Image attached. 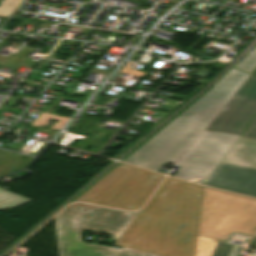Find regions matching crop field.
<instances>
[{
	"label": "crop field",
	"mask_w": 256,
	"mask_h": 256,
	"mask_svg": "<svg viewBox=\"0 0 256 256\" xmlns=\"http://www.w3.org/2000/svg\"><path fill=\"white\" fill-rule=\"evenodd\" d=\"M202 187L167 178L116 246L156 256H194Z\"/></svg>",
	"instance_id": "1"
},
{
	"label": "crop field",
	"mask_w": 256,
	"mask_h": 256,
	"mask_svg": "<svg viewBox=\"0 0 256 256\" xmlns=\"http://www.w3.org/2000/svg\"><path fill=\"white\" fill-rule=\"evenodd\" d=\"M246 77L247 74L232 68L124 162L155 171L165 162L177 164Z\"/></svg>",
	"instance_id": "2"
},
{
	"label": "crop field",
	"mask_w": 256,
	"mask_h": 256,
	"mask_svg": "<svg viewBox=\"0 0 256 256\" xmlns=\"http://www.w3.org/2000/svg\"><path fill=\"white\" fill-rule=\"evenodd\" d=\"M256 230V200L203 187L195 256H228L232 232Z\"/></svg>",
	"instance_id": "3"
},
{
	"label": "crop field",
	"mask_w": 256,
	"mask_h": 256,
	"mask_svg": "<svg viewBox=\"0 0 256 256\" xmlns=\"http://www.w3.org/2000/svg\"><path fill=\"white\" fill-rule=\"evenodd\" d=\"M162 178V175L120 163L76 200L136 210Z\"/></svg>",
	"instance_id": "4"
},
{
	"label": "crop field",
	"mask_w": 256,
	"mask_h": 256,
	"mask_svg": "<svg viewBox=\"0 0 256 256\" xmlns=\"http://www.w3.org/2000/svg\"><path fill=\"white\" fill-rule=\"evenodd\" d=\"M93 208V205L74 203L55 217L60 256H152L124 248L118 250L81 242L79 233Z\"/></svg>",
	"instance_id": "5"
},
{
	"label": "crop field",
	"mask_w": 256,
	"mask_h": 256,
	"mask_svg": "<svg viewBox=\"0 0 256 256\" xmlns=\"http://www.w3.org/2000/svg\"><path fill=\"white\" fill-rule=\"evenodd\" d=\"M238 137L205 131L180 160L181 169L174 176L187 180L207 179Z\"/></svg>",
	"instance_id": "6"
},
{
	"label": "crop field",
	"mask_w": 256,
	"mask_h": 256,
	"mask_svg": "<svg viewBox=\"0 0 256 256\" xmlns=\"http://www.w3.org/2000/svg\"><path fill=\"white\" fill-rule=\"evenodd\" d=\"M256 116V78L241 84L205 130L241 135Z\"/></svg>",
	"instance_id": "7"
},
{
	"label": "crop field",
	"mask_w": 256,
	"mask_h": 256,
	"mask_svg": "<svg viewBox=\"0 0 256 256\" xmlns=\"http://www.w3.org/2000/svg\"><path fill=\"white\" fill-rule=\"evenodd\" d=\"M204 185L256 197V169L220 163Z\"/></svg>",
	"instance_id": "8"
},
{
	"label": "crop field",
	"mask_w": 256,
	"mask_h": 256,
	"mask_svg": "<svg viewBox=\"0 0 256 256\" xmlns=\"http://www.w3.org/2000/svg\"><path fill=\"white\" fill-rule=\"evenodd\" d=\"M134 216V213L95 206L84 229L108 233L110 239H118Z\"/></svg>",
	"instance_id": "9"
},
{
	"label": "crop field",
	"mask_w": 256,
	"mask_h": 256,
	"mask_svg": "<svg viewBox=\"0 0 256 256\" xmlns=\"http://www.w3.org/2000/svg\"><path fill=\"white\" fill-rule=\"evenodd\" d=\"M88 115H85L81 121H78L77 124L73 127V130L71 133H76L75 131L82 125V123L88 118ZM95 117L91 116L88 121L81 127V129L77 132L78 134L83 133V135L87 136L89 133V137H86L81 144L77 147V149L84 150L90 146L92 148L87 151L90 153L98 154L102 148L110 141V139L115 135L116 132L114 131H108V130H103L100 128L94 127L98 122H96L100 117H97L95 121L88 127V129L83 132L86 127L93 121ZM105 135H108L107 138L103 143H101V140L104 139Z\"/></svg>",
	"instance_id": "10"
},
{
	"label": "crop field",
	"mask_w": 256,
	"mask_h": 256,
	"mask_svg": "<svg viewBox=\"0 0 256 256\" xmlns=\"http://www.w3.org/2000/svg\"><path fill=\"white\" fill-rule=\"evenodd\" d=\"M222 162L256 168V141L239 137Z\"/></svg>",
	"instance_id": "11"
},
{
	"label": "crop field",
	"mask_w": 256,
	"mask_h": 256,
	"mask_svg": "<svg viewBox=\"0 0 256 256\" xmlns=\"http://www.w3.org/2000/svg\"><path fill=\"white\" fill-rule=\"evenodd\" d=\"M24 156L26 158L22 159ZM33 159L30 156L0 150V177L20 170Z\"/></svg>",
	"instance_id": "12"
},
{
	"label": "crop field",
	"mask_w": 256,
	"mask_h": 256,
	"mask_svg": "<svg viewBox=\"0 0 256 256\" xmlns=\"http://www.w3.org/2000/svg\"><path fill=\"white\" fill-rule=\"evenodd\" d=\"M28 201L31 200L0 189V209L12 208Z\"/></svg>",
	"instance_id": "13"
},
{
	"label": "crop field",
	"mask_w": 256,
	"mask_h": 256,
	"mask_svg": "<svg viewBox=\"0 0 256 256\" xmlns=\"http://www.w3.org/2000/svg\"><path fill=\"white\" fill-rule=\"evenodd\" d=\"M235 67L251 73L256 67V48H254L249 54L242 58Z\"/></svg>",
	"instance_id": "14"
},
{
	"label": "crop field",
	"mask_w": 256,
	"mask_h": 256,
	"mask_svg": "<svg viewBox=\"0 0 256 256\" xmlns=\"http://www.w3.org/2000/svg\"><path fill=\"white\" fill-rule=\"evenodd\" d=\"M241 136L256 140V117Z\"/></svg>",
	"instance_id": "15"
},
{
	"label": "crop field",
	"mask_w": 256,
	"mask_h": 256,
	"mask_svg": "<svg viewBox=\"0 0 256 256\" xmlns=\"http://www.w3.org/2000/svg\"><path fill=\"white\" fill-rule=\"evenodd\" d=\"M249 245L256 248V236H254Z\"/></svg>",
	"instance_id": "16"
},
{
	"label": "crop field",
	"mask_w": 256,
	"mask_h": 256,
	"mask_svg": "<svg viewBox=\"0 0 256 256\" xmlns=\"http://www.w3.org/2000/svg\"><path fill=\"white\" fill-rule=\"evenodd\" d=\"M253 75H256V70L254 71Z\"/></svg>",
	"instance_id": "17"
}]
</instances>
